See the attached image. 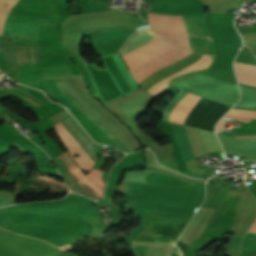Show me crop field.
Wrapping results in <instances>:
<instances>
[{"mask_svg":"<svg viewBox=\"0 0 256 256\" xmlns=\"http://www.w3.org/2000/svg\"><path fill=\"white\" fill-rule=\"evenodd\" d=\"M238 81L240 83L256 86V67L241 63H234Z\"/></svg>","mask_w":256,"mask_h":256,"instance_id":"5a996713","label":"crop field"},{"mask_svg":"<svg viewBox=\"0 0 256 256\" xmlns=\"http://www.w3.org/2000/svg\"><path fill=\"white\" fill-rule=\"evenodd\" d=\"M212 60V56H208V55H202V58L200 60H198L197 62H195L194 64H192L191 66L175 73L172 74L164 79H162L161 81H159L158 83H156L154 86H152L147 92L153 94V95H157L159 94L161 91H163L165 88L168 87V81L176 76H179L181 74L184 73H188V72H192L195 70H199V69H204V68H208L210 63Z\"/></svg>","mask_w":256,"mask_h":256,"instance_id":"e52e79f7","label":"crop field"},{"mask_svg":"<svg viewBox=\"0 0 256 256\" xmlns=\"http://www.w3.org/2000/svg\"><path fill=\"white\" fill-rule=\"evenodd\" d=\"M200 99V97L189 93L175 107L169 121L183 124L189 113L192 111V109L195 107Z\"/></svg>","mask_w":256,"mask_h":256,"instance_id":"d8731c3e","label":"crop field"},{"mask_svg":"<svg viewBox=\"0 0 256 256\" xmlns=\"http://www.w3.org/2000/svg\"><path fill=\"white\" fill-rule=\"evenodd\" d=\"M15 88L19 89L20 91L27 94L28 96H30L31 98H33L34 100L38 101L41 104L44 103L45 101H47L42 94H40L34 90L27 89L20 85L16 86Z\"/></svg>","mask_w":256,"mask_h":256,"instance_id":"22f410ed","label":"crop field"},{"mask_svg":"<svg viewBox=\"0 0 256 256\" xmlns=\"http://www.w3.org/2000/svg\"><path fill=\"white\" fill-rule=\"evenodd\" d=\"M188 49L209 54V38L201 17L181 16Z\"/></svg>","mask_w":256,"mask_h":256,"instance_id":"34b2d1b8","label":"crop field"},{"mask_svg":"<svg viewBox=\"0 0 256 256\" xmlns=\"http://www.w3.org/2000/svg\"><path fill=\"white\" fill-rule=\"evenodd\" d=\"M227 114L234 115V116H240V117L256 118V112L248 111V110L232 109Z\"/></svg>","mask_w":256,"mask_h":256,"instance_id":"5142ce71","label":"crop field"},{"mask_svg":"<svg viewBox=\"0 0 256 256\" xmlns=\"http://www.w3.org/2000/svg\"><path fill=\"white\" fill-rule=\"evenodd\" d=\"M175 45L166 42L164 39H158L144 47H141L125 56L123 60L128 66L129 70L134 69L143 62L173 48Z\"/></svg>","mask_w":256,"mask_h":256,"instance_id":"f4fd0767","label":"crop field"},{"mask_svg":"<svg viewBox=\"0 0 256 256\" xmlns=\"http://www.w3.org/2000/svg\"><path fill=\"white\" fill-rule=\"evenodd\" d=\"M108 71L124 96L139 88L118 53L108 66Z\"/></svg>","mask_w":256,"mask_h":256,"instance_id":"dd49c442","label":"crop field"},{"mask_svg":"<svg viewBox=\"0 0 256 256\" xmlns=\"http://www.w3.org/2000/svg\"><path fill=\"white\" fill-rule=\"evenodd\" d=\"M135 256H169L171 248L131 246Z\"/></svg>","mask_w":256,"mask_h":256,"instance_id":"3316defc","label":"crop field"},{"mask_svg":"<svg viewBox=\"0 0 256 256\" xmlns=\"http://www.w3.org/2000/svg\"><path fill=\"white\" fill-rule=\"evenodd\" d=\"M172 124V128L184 161L193 159V153L183 126ZM206 152L221 151L213 133L199 130Z\"/></svg>","mask_w":256,"mask_h":256,"instance_id":"412701ff","label":"crop field"},{"mask_svg":"<svg viewBox=\"0 0 256 256\" xmlns=\"http://www.w3.org/2000/svg\"><path fill=\"white\" fill-rule=\"evenodd\" d=\"M242 242L256 244V219L251 228L249 229L248 233L244 236Z\"/></svg>","mask_w":256,"mask_h":256,"instance_id":"cbeb9de0","label":"crop field"},{"mask_svg":"<svg viewBox=\"0 0 256 256\" xmlns=\"http://www.w3.org/2000/svg\"><path fill=\"white\" fill-rule=\"evenodd\" d=\"M58 100L64 104L92 139L101 144L114 146L124 152H132L112 131H110L96 116H94L66 88L60 78L43 80ZM42 80L26 82L25 84L42 89L53 100L60 103ZM60 103V104H61Z\"/></svg>","mask_w":256,"mask_h":256,"instance_id":"8a807250","label":"crop field"},{"mask_svg":"<svg viewBox=\"0 0 256 256\" xmlns=\"http://www.w3.org/2000/svg\"><path fill=\"white\" fill-rule=\"evenodd\" d=\"M17 1L18 0H0V35H2L4 20Z\"/></svg>","mask_w":256,"mask_h":256,"instance_id":"d1516ede","label":"crop field"},{"mask_svg":"<svg viewBox=\"0 0 256 256\" xmlns=\"http://www.w3.org/2000/svg\"><path fill=\"white\" fill-rule=\"evenodd\" d=\"M225 118L240 120V121H244V122H248L249 120H251V119H247V118H240V117H234V116H228V115H225Z\"/></svg>","mask_w":256,"mask_h":256,"instance_id":"d9b57169","label":"crop field"},{"mask_svg":"<svg viewBox=\"0 0 256 256\" xmlns=\"http://www.w3.org/2000/svg\"><path fill=\"white\" fill-rule=\"evenodd\" d=\"M67 120L94 152V142L91 140V138L85 133V131L79 126V124L74 120L72 116L67 118ZM55 128L60 134L71 156L73 157V154L76 153L81 155L77 158L73 157L80 168L83 171L90 170L94 165L92 159L87 155V153L82 149V147L77 143V141L72 137V135L67 131L61 122L56 124Z\"/></svg>","mask_w":256,"mask_h":256,"instance_id":"ac0d7876","label":"crop field"},{"mask_svg":"<svg viewBox=\"0 0 256 256\" xmlns=\"http://www.w3.org/2000/svg\"><path fill=\"white\" fill-rule=\"evenodd\" d=\"M225 121H226L225 119H222V120L218 123V125H217V127H216V131H222V127H223V124H224Z\"/></svg>","mask_w":256,"mask_h":256,"instance_id":"733c2abd","label":"crop field"},{"mask_svg":"<svg viewBox=\"0 0 256 256\" xmlns=\"http://www.w3.org/2000/svg\"><path fill=\"white\" fill-rule=\"evenodd\" d=\"M255 53V55H256V52H254Z\"/></svg>","mask_w":256,"mask_h":256,"instance_id":"4a817a6b","label":"crop field"},{"mask_svg":"<svg viewBox=\"0 0 256 256\" xmlns=\"http://www.w3.org/2000/svg\"><path fill=\"white\" fill-rule=\"evenodd\" d=\"M69 75H72V73L69 70L68 66H54V67L45 68L43 70L41 79L69 76Z\"/></svg>","mask_w":256,"mask_h":256,"instance_id":"28ad6ade","label":"crop field"}]
</instances>
